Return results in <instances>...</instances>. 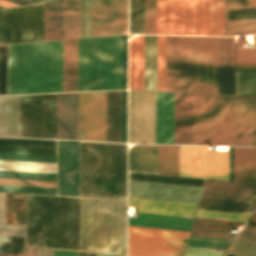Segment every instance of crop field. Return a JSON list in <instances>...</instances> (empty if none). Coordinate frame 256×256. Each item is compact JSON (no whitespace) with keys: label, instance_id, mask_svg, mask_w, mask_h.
<instances>
[{"label":"crop field","instance_id":"37","mask_svg":"<svg viewBox=\"0 0 256 256\" xmlns=\"http://www.w3.org/2000/svg\"><path fill=\"white\" fill-rule=\"evenodd\" d=\"M145 0H130L129 33L144 34Z\"/></svg>","mask_w":256,"mask_h":256},{"label":"crop field","instance_id":"39","mask_svg":"<svg viewBox=\"0 0 256 256\" xmlns=\"http://www.w3.org/2000/svg\"><path fill=\"white\" fill-rule=\"evenodd\" d=\"M256 34V19L226 21V36Z\"/></svg>","mask_w":256,"mask_h":256},{"label":"crop field","instance_id":"33","mask_svg":"<svg viewBox=\"0 0 256 256\" xmlns=\"http://www.w3.org/2000/svg\"><path fill=\"white\" fill-rule=\"evenodd\" d=\"M179 146L159 145V173L178 175Z\"/></svg>","mask_w":256,"mask_h":256},{"label":"crop field","instance_id":"68","mask_svg":"<svg viewBox=\"0 0 256 256\" xmlns=\"http://www.w3.org/2000/svg\"><path fill=\"white\" fill-rule=\"evenodd\" d=\"M154 143H155V121H154Z\"/></svg>","mask_w":256,"mask_h":256},{"label":"crop field","instance_id":"16","mask_svg":"<svg viewBox=\"0 0 256 256\" xmlns=\"http://www.w3.org/2000/svg\"><path fill=\"white\" fill-rule=\"evenodd\" d=\"M202 188L128 180V197L197 204Z\"/></svg>","mask_w":256,"mask_h":256},{"label":"crop field","instance_id":"22","mask_svg":"<svg viewBox=\"0 0 256 256\" xmlns=\"http://www.w3.org/2000/svg\"><path fill=\"white\" fill-rule=\"evenodd\" d=\"M174 144H193V95L175 93Z\"/></svg>","mask_w":256,"mask_h":256},{"label":"crop field","instance_id":"9","mask_svg":"<svg viewBox=\"0 0 256 256\" xmlns=\"http://www.w3.org/2000/svg\"><path fill=\"white\" fill-rule=\"evenodd\" d=\"M128 205L139 212L194 217L197 205L132 199ZM139 213V220L128 219V225L189 231L193 218Z\"/></svg>","mask_w":256,"mask_h":256},{"label":"crop field","instance_id":"34","mask_svg":"<svg viewBox=\"0 0 256 256\" xmlns=\"http://www.w3.org/2000/svg\"><path fill=\"white\" fill-rule=\"evenodd\" d=\"M203 190L256 195V185L245 183L206 180Z\"/></svg>","mask_w":256,"mask_h":256},{"label":"crop field","instance_id":"18","mask_svg":"<svg viewBox=\"0 0 256 256\" xmlns=\"http://www.w3.org/2000/svg\"><path fill=\"white\" fill-rule=\"evenodd\" d=\"M58 194L79 196V142L59 141Z\"/></svg>","mask_w":256,"mask_h":256},{"label":"crop field","instance_id":"56","mask_svg":"<svg viewBox=\"0 0 256 256\" xmlns=\"http://www.w3.org/2000/svg\"><path fill=\"white\" fill-rule=\"evenodd\" d=\"M224 251L187 247L184 256H221Z\"/></svg>","mask_w":256,"mask_h":256},{"label":"crop field","instance_id":"35","mask_svg":"<svg viewBox=\"0 0 256 256\" xmlns=\"http://www.w3.org/2000/svg\"><path fill=\"white\" fill-rule=\"evenodd\" d=\"M0 170L56 173V163L0 161Z\"/></svg>","mask_w":256,"mask_h":256},{"label":"crop field","instance_id":"26","mask_svg":"<svg viewBox=\"0 0 256 256\" xmlns=\"http://www.w3.org/2000/svg\"><path fill=\"white\" fill-rule=\"evenodd\" d=\"M239 224L244 225L240 222L196 218L190 235L233 239L236 234L232 232Z\"/></svg>","mask_w":256,"mask_h":256},{"label":"crop field","instance_id":"5","mask_svg":"<svg viewBox=\"0 0 256 256\" xmlns=\"http://www.w3.org/2000/svg\"><path fill=\"white\" fill-rule=\"evenodd\" d=\"M156 34L209 35V0H157Z\"/></svg>","mask_w":256,"mask_h":256},{"label":"crop field","instance_id":"6","mask_svg":"<svg viewBox=\"0 0 256 256\" xmlns=\"http://www.w3.org/2000/svg\"><path fill=\"white\" fill-rule=\"evenodd\" d=\"M232 97L194 95V144L231 145Z\"/></svg>","mask_w":256,"mask_h":256},{"label":"crop field","instance_id":"49","mask_svg":"<svg viewBox=\"0 0 256 256\" xmlns=\"http://www.w3.org/2000/svg\"><path fill=\"white\" fill-rule=\"evenodd\" d=\"M155 8L156 0H146L145 34H155Z\"/></svg>","mask_w":256,"mask_h":256},{"label":"crop field","instance_id":"66","mask_svg":"<svg viewBox=\"0 0 256 256\" xmlns=\"http://www.w3.org/2000/svg\"><path fill=\"white\" fill-rule=\"evenodd\" d=\"M0 256H25V255H17V254H1Z\"/></svg>","mask_w":256,"mask_h":256},{"label":"crop field","instance_id":"8","mask_svg":"<svg viewBox=\"0 0 256 256\" xmlns=\"http://www.w3.org/2000/svg\"><path fill=\"white\" fill-rule=\"evenodd\" d=\"M188 233L128 226V255L182 256Z\"/></svg>","mask_w":256,"mask_h":256},{"label":"crop field","instance_id":"61","mask_svg":"<svg viewBox=\"0 0 256 256\" xmlns=\"http://www.w3.org/2000/svg\"><path fill=\"white\" fill-rule=\"evenodd\" d=\"M253 4H256V1L232 2V3H227V7L253 5Z\"/></svg>","mask_w":256,"mask_h":256},{"label":"crop field","instance_id":"19","mask_svg":"<svg viewBox=\"0 0 256 256\" xmlns=\"http://www.w3.org/2000/svg\"><path fill=\"white\" fill-rule=\"evenodd\" d=\"M198 208L252 214L256 196L203 191Z\"/></svg>","mask_w":256,"mask_h":256},{"label":"crop field","instance_id":"36","mask_svg":"<svg viewBox=\"0 0 256 256\" xmlns=\"http://www.w3.org/2000/svg\"><path fill=\"white\" fill-rule=\"evenodd\" d=\"M236 49V71L256 70V36H253L255 50H246L244 36L238 37Z\"/></svg>","mask_w":256,"mask_h":256},{"label":"crop field","instance_id":"63","mask_svg":"<svg viewBox=\"0 0 256 256\" xmlns=\"http://www.w3.org/2000/svg\"><path fill=\"white\" fill-rule=\"evenodd\" d=\"M7 1H10V2H13V3H16V4H19V5L32 4V3H34V2H31V1H28V0H7Z\"/></svg>","mask_w":256,"mask_h":256},{"label":"crop field","instance_id":"60","mask_svg":"<svg viewBox=\"0 0 256 256\" xmlns=\"http://www.w3.org/2000/svg\"><path fill=\"white\" fill-rule=\"evenodd\" d=\"M53 256H78V252L53 249Z\"/></svg>","mask_w":256,"mask_h":256},{"label":"crop field","instance_id":"71","mask_svg":"<svg viewBox=\"0 0 256 256\" xmlns=\"http://www.w3.org/2000/svg\"><path fill=\"white\" fill-rule=\"evenodd\" d=\"M35 1L42 2V1H47V0H35Z\"/></svg>","mask_w":256,"mask_h":256},{"label":"crop field","instance_id":"32","mask_svg":"<svg viewBox=\"0 0 256 256\" xmlns=\"http://www.w3.org/2000/svg\"><path fill=\"white\" fill-rule=\"evenodd\" d=\"M81 0H64V39L80 37Z\"/></svg>","mask_w":256,"mask_h":256},{"label":"crop field","instance_id":"47","mask_svg":"<svg viewBox=\"0 0 256 256\" xmlns=\"http://www.w3.org/2000/svg\"><path fill=\"white\" fill-rule=\"evenodd\" d=\"M91 36V0H82L81 37Z\"/></svg>","mask_w":256,"mask_h":256},{"label":"crop field","instance_id":"65","mask_svg":"<svg viewBox=\"0 0 256 256\" xmlns=\"http://www.w3.org/2000/svg\"><path fill=\"white\" fill-rule=\"evenodd\" d=\"M0 5L4 6V7L17 6L16 4H13V3H10V2H7V1H3V0H0Z\"/></svg>","mask_w":256,"mask_h":256},{"label":"crop field","instance_id":"73","mask_svg":"<svg viewBox=\"0 0 256 256\" xmlns=\"http://www.w3.org/2000/svg\"><path fill=\"white\" fill-rule=\"evenodd\" d=\"M0 8H3V7L0 6Z\"/></svg>","mask_w":256,"mask_h":256},{"label":"crop field","instance_id":"55","mask_svg":"<svg viewBox=\"0 0 256 256\" xmlns=\"http://www.w3.org/2000/svg\"><path fill=\"white\" fill-rule=\"evenodd\" d=\"M0 235L25 237V226L0 224Z\"/></svg>","mask_w":256,"mask_h":256},{"label":"crop field","instance_id":"43","mask_svg":"<svg viewBox=\"0 0 256 256\" xmlns=\"http://www.w3.org/2000/svg\"><path fill=\"white\" fill-rule=\"evenodd\" d=\"M250 215L198 209L196 217L246 222Z\"/></svg>","mask_w":256,"mask_h":256},{"label":"crop field","instance_id":"1","mask_svg":"<svg viewBox=\"0 0 256 256\" xmlns=\"http://www.w3.org/2000/svg\"><path fill=\"white\" fill-rule=\"evenodd\" d=\"M62 92V41L8 45V94Z\"/></svg>","mask_w":256,"mask_h":256},{"label":"crop field","instance_id":"44","mask_svg":"<svg viewBox=\"0 0 256 256\" xmlns=\"http://www.w3.org/2000/svg\"><path fill=\"white\" fill-rule=\"evenodd\" d=\"M0 178L56 181V174L0 171Z\"/></svg>","mask_w":256,"mask_h":256},{"label":"crop field","instance_id":"40","mask_svg":"<svg viewBox=\"0 0 256 256\" xmlns=\"http://www.w3.org/2000/svg\"><path fill=\"white\" fill-rule=\"evenodd\" d=\"M256 87V72L236 73V88ZM256 94V88L236 89V95Z\"/></svg>","mask_w":256,"mask_h":256},{"label":"crop field","instance_id":"52","mask_svg":"<svg viewBox=\"0 0 256 256\" xmlns=\"http://www.w3.org/2000/svg\"><path fill=\"white\" fill-rule=\"evenodd\" d=\"M0 185H22V186L56 187V182L0 179Z\"/></svg>","mask_w":256,"mask_h":256},{"label":"crop field","instance_id":"48","mask_svg":"<svg viewBox=\"0 0 256 256\" xmlns=\"http://www.w3.org/2000/svg\"><path fill=\"white\" fill-rule=\"evenodd\" d=\"M13 223L25 224V195L13 194Z\"/></svg>","mask_w":256,"mask_h":256},{"label":"crop field","instance_id":"46","mask_svg":"<svg viewBox=\"0 0 256 256\" xmlns=\"http://www.w3.org/2000/svg\"><path fill=\"white\" fill-rule=\"evenodd\" d=\"M165 36H158L157 91H164Z\"/></svg>","mask_w":256,"mask_h":256},{"label":"crop field","instance_id":"13","mask_svg":"<svg viewBox=\"0 0 256 256\" xmlns=\"http://www.w3.org/2000/svg\"><path fill=\"white\" fill-rule=\"evenodd\" d=\"M217 37H192L191 93L216 94Z\"/></svg>","mask_w":256,"mask_h":256},{"label":"crop field","instance_id":"54","mask_svg":"<svg viewBox=\"0 0 256 256\" xmlns=\"http://www.w3.org/2000/svg\"><path fill=\"white\" fill-rule=\"evenodd\" d=\"M256 18V8L227 10L226 20Z\"/></svg>","mask_w":256,"mask_h":256},{"label":"crop field","instance_id":"67","mask_svg":"<svg viewBox=\"0 0 256 256\" xmlns=\"http://www.w3.org/2000/svg\"><path fill=\"white\" fill-rule=\"evenodd\" d=\"M246 7H256V5H253V6H243V7H232V8H227V9H233V8H246Z\"/></svg>","mask_w":256,"mask_h":256},{"label":"crop field","instance_id":"11","mask_svg":"<svg viewBox=\"0 0 256 256\" xmlns=\"http://www.w3.org/2000/svg\"><path fill=\"white\" fill-rule=\"evenodd\" d=\"M229 147L209 151V147L180 146L179 175L228 180Z\"/></svg>","mask_w":256,"mask_h":256},{"label":"crop field","instance_id":"57","mask_svg":"<svg viewBox=\"0 0 256 256\" xmlns=\"http://www.w3.org/2000/svg\"><path fill=\"white\" fill-rule=\"evenodd\" d=\"M127 91H122V142H126Z\"/></svg>","mask_w":256,"mask_h":256},{"label":"crop field","instance_id":"15","mask_svg":"<svg viewBox=\"0 0 256 256\" xmlns=\"http://www.w3.org/2000/svg\"><path fill=\"white\" fill-rule=\"evenodd\" d=\"M128 0H92V36L127 31Z\"/></svg>","mask_w":256,"mask_h":256},{"label":"crop field","instance_id":"50","mask_svg":"<svg viewBox=\"0 0 256 256\" xmlns=\"http://www.w3.org/2000/svg\"><path fill=\"white\" fill-rule=\"evenodd\" d=\"M127 83V35L121 36L120 89Z\"/></svg>","mask_w":256,"mask_h":256},{"label":"crop field","instance_id":"2","mask_svg":"<svg viewBox=\"0 0 256 256\" xmlns=\"http://www.w3.org/2000/svg\"><path fill=\"white\" fill-rule=\"evenodd\" d=\"M80 196L126 198V144L80 142Z\"/></svg>","mask_w":256,"mask_h":256},{"label":"crop field","instance_id":"42","mask_svg":"<svg viewBox=\"0 0 256 256\" xmlns=\"http://www.w3.org/2000/svg\"><path fill=\"white\" fill-rule=\"evenodd\" d=\"M0 252L25 254V238L0 236Z\"/></svg>","mask_w":256,"mask_h":256},{"label":"crop field","instance_id":"41","mask_svg":"<svg viewBox=\"0 0 256 256\" xmlns=\"http://www.w3.org/2000/svg\"><path fill=\"white\" fill-rule=\"evenodd\" d=\"M230 242L227 239L190 236L187 246L226 250Z\"/></svg>","mask_w":256,"mask_h":256},{"label":"crop field","instance_id":"12","mask_svg":"<svg viewBox=\"0 0 256 256\" xmlns=\"http://www.w3.org/2000/svg\"><path fill=\"white\" fill-rule=\"evenodd\" d=\"M191 37L166 36L165 91L190 93Z\"/></svg>","mask_w":256,"mask_h":256},{"label":"crop field","instance_id":"21","mask_svg":"<svg viewBox=\"0 0 256 256\" xmlns=\"http://www.w3.org/2000/svg\"><path fill=\"white\" fill-rule=\"evenodd\" d=\"M217 94L234 95V39L218 37Z\"/></svg>","mask_w":256,"mask_h":256},{"label":"crop field","instance_id":"31","mask_svg":"<svg viewBox=\"0 0 256 256\" xmlns=\"http://www.w3.org/2000/svg\"><path fill=\"white\" fill-rule=\"evenodd\" d=\"M157 36H145L144 90L156 91Z\"/></svg>","mask_w":256,"mask_h":256},{"label":"crop field","instance_id":"25","mask_svg":"<svg viewBox=\"0 0 256 256\" xmlns=\"http://www.w3.org/2000/svg\"><path fill=\"white\" fill-rule=\"evenodd\" d=\"M234 181L256 183V148L234 147Z\"/></svg>","mask_w":256,"mask_h":256},{"label":"crop field","instance_id":"59","mask_svg":"<svg viewBox=\"0 0 256 256\" xmlns=\"http://www.w3.org/2000/svg\"><path fill=\"white\" fill-rule=\"evenodd\" d=\"M27 256H52V249L27 247Z\"/></svg>","mask_w":256,"mask_h":256},{"label":"crop field","instance_id":"17","mask_svg":"<svg viewBox=\"0 0 256 256\" xmlns=\"http://www.w3.org/2000/svg\"><path fill=\"white\" fill-rule=\"evenodd\" d=\"M256 146V96L233 97L232 145Z\"/></svg>","mask_w":256,"mask_h":256},{"label":"crop field","instance_id":"28","mask_svg":"<svg viewBox=\"0 0 256 256\" xmlns=\"http://www.w3.org/2000/svg\"><path fill=\"white\" fill-rule=\"evenodd\" d=\"M106 141L121 142V91L107 92Z\"/></svg>","mask_w":256,"mask_h":256},{"label":"crop field","instance_id":"64","mask_svg":"<svg viewBox=\"0 0 256 256\" xmlns=\"http://www.w3.org/2000/svg\"><path fill=\"white\" fill-rule=\"evenodd\" d=\"M229 180H230V167H229ZM231 181H233V147H231Z\"/></svg>","mask_w":256,"mask_h":256},{"label":"crop field","instance_id":"7","mask_svg":"<svg viewBox=\"0 0 256 256\" xmlns=\"http://www.w3.org/2000/svg\"><path fill=\"white\" fill-rule=\"evenodd\" d=\"M19 137L56 139V94L20 96Z\"/></svg>","mask_w":256,"mask_h":256},{"label":"crop field","instance_id":"3","mask_svg":"<svg viewBox=\"0 0 256 256\" xmlns=\"http://www.w3.org/2000/svg\"><path fill=\"white\" fill-rule=\"evenodd\" d=\"M106 200L86 199V249L126 253V202H120L126 200ZM79 250L91 251L85 250V198H80Z\"/></svg>","mask_w":256,"mask_h":256},{"label":"crop field","instance_id":"24","mask_svg":"<svg viewBox=\"0 0 256 256\" xmlns=\"http://www.w3.org/2000/svg\"><path fill=\"white\" fill-rule=\"evenodd\" d=\"M128 170L158 173V145H137L130 148Z\"/></svg>","mask_w":256,"mask_h":256},{"label":"crop field","instance_id":"10","mask_svg":"<svg viewBox=\"0 0 256 256\" xmlns=\"http://www.w3.org/2000/svg\"><path fill=\"white\" fill-rule=\"evenodd\" d=\"M44 3L0 10V44L43 40Z\"/></svg>","mask_w":256,"mask_h":256},{"label":"crop field","instance_id":"4","mask_svg":"<svg viewBox=\"0 0 256 256\" xmlns=\"http://www.w3.org/2000/svg\"><path fill=\"white\" fill-rule=\"evenodd\" d=\"M120 36L78 39V91L119 89Z\"/></svg>","mask_w":256,"mask_h":256},{"label":"crop field","instance_id":"38","mask_svg":"<svg viewBox=\"0 0 256 256\" xmlns=\"http://www.w3.org/2000/svg\"><path fill=\"white\" fill-rule=\"evenodd\" d=\"M225 0H210V35L224 36Z\"/></svg>","mask_w":256,"mask_h":256},{"label":"crop field","instance_id":"23","mask_svg":"<svg viewBox=\"0 0 256 256\" xmlns=\"http://www.w3.org/2000/svg\"><path fill=\"white\" fill-rule=\"evenodd\" d=\"M174 93L156 92V143L173 144Z\"/></svg>","mask_w":256,"mask_h":256},{"label":"crop field","instance_id":"27","mask_svg":"<svg viewBox=\"0 0 256 256\" xmlns=\"http://www.w3.org/2000/svg\"><path fill=\"white\" fill-rule=\"evenodd\" d=\"M144 36L129 44V89L143 90Z\"/></svg>","mask_w":256,"mask_h":256},{"label":"crop field","instance_id":"53","mask_svg":"<svg viewBox=\"0 0 256 256\" xmlns=\"http://www.w3.org/2000/svg\"><path fill=\"white\" fill-rule=\"evenodd\" d=\"M0 160H22V161L56 162V157L0 154Z\"/></svg>","mask_w":256,"mask_h":256},{"label":"crop field","instance_id":"51","mask_svg":"<svg viewBox=\"0 0 256 256\" xmlns=\"http://www.w3.org/2000/svg\"><path fill=\"white\" fill-rule=\"evenodd\" d=\"M0 191L56 194V188L0 186Z\"/></svg>","mask_w":256,"mask_h":256},{"label":"crop field","instance_id":"58","mask_svg":"<svg viewBox=\"0 0 256 256\" xmlns=\"http://www.w3.org/2000/svg\"><path fill=\"white\" fill-rule=\"evenodd\" d=\"M238 237L256 241V226L246 224L242 231L239 233Z\"/></svg>","mask_w":256,"mask_h":256},{"label":"crop field","instance_id":"69","mask_svg":"<svg viewBox=\"0 0 256 256\" xmlns=\"http://www.w3.org/2000/svg\"><path fill=\"white\" fill-rule=\"evenodd\" d=\"M232 1H244V0H227V2H232Z\"/></svg>","mask_w":256,"mask_h":256},{"label":"crop field","instance_id":"70","mask_svg":"<svg viewBox=\"0 0 256 256\" xmlns=\"http://www.w3.org/2000/svg\"><path fill=\"white\" fill-rule=\"evenodd\" d=\"M98 256H111V255H102V254H98Z\"/></svg>","mask_w":256,"mask_h":256},{"label":"crop field","instance_id":"29","mask_svg":"<svg viewBox=\"0 0 256 256\" xmlns=\"http://www.w3.org/2000/svg\"><path fill=\"white\" fill-rule=\"evenodd\" d=\"M77 91V39L63 41V92Z\"/></svg>","mask_w":256,"mask_h":256},{"label":"crop field","instance_id":"14","mask_svg":"<svg viewBox=\"0 0 256 256\" xmlns=\"http://www.w3.org/2000/svg\"><path fill=\"white\" fill-rule=\"evenodd\" d=\"M106 92L79 93L78 140L105 141Z\"/></svg>","mask_w":256,"mask_h":256},{"label":"crop field","instance_id":"45","mask_svg":"<svg viewBox=\"0 0 256 256\" xmlns=\"http://www.w3.org/2000/svg\"><path fill=\"white\" fill-rule=\"evenodd\" d=\"M0 145L56 148V141L0 138Z\"/></svg>","mask_w":256,"mask_h":256},{"label":"crop field","instance_id":"62","mask_svg":"<svg viewBox=\"0 0 256 256\" xmlns=\"http://www.w3.org/2000/svg\"><path fill=\"white\" fill-rule=\"evenodd\" d=\"M228 251L236 252V253L243 254V255H246V256H256V254L249 253V252L242 251V250L235 249V248H231V247H229Z\"/></svg>","mask_w":256,"mask_h":256},{"label":"crop field","instance_id":"30","mask_svg":"<svg viewBox=\"0 0 256 256\" xmlns=\"http://www.w3.org/2000/svg\"><path fill=\"white\" fill-rule=\"evenodd\" d=\"M63 39V0L45 3L44 40Z\"/></svg>","mask_w":256,"mask_h":256},{"label":"crop field","instance_id":"72","mask_svg":"<svg viewBox=\"0 0 256 256\" xmlns=\"http://www.w3.org/2000/svg\"><path fill=\"white\" fill-rule=\"evenodd\" d=\"M253 218V217H252ZM254 218H256V215L254 216Z\"/></svg>","mask_w":256,"mask_h":256},{"label":"crop field","instance_id":"20","mask_svg":"<svg viewBox=\"0 0 256 256\" xmlns=\"http://www.w3.org/2000/svg\"><path fill=\"white\" fill-rule=\"evenodd\" d=\"M78 93L57 94V139L77 140Z\"/></svg>","mask_w":256,"mask_h":256}]
</instances>
